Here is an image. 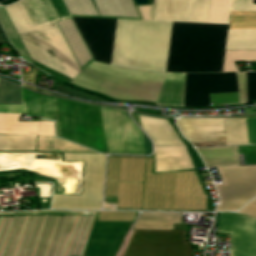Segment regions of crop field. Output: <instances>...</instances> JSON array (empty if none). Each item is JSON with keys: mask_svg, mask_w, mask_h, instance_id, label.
Segmentation results:
<instances>
[{"mask_svg": "<svg viewBox=\"0 0 256 256\" xmlns=\"http://www.w3.org/2000/svg\"><path fill=\"white\" fill-rule=\"evenodd\" d=\"M72 18L94 60L110 65L117 20ZM171 25L118 20L111 65L165 72ZM227 28L173 22L166 72H221Z\"/></svg>", "mask_w": 256, "mask_h": 256, "instance_id": "obj_1", "label": "crop field"}, {"mask_svg": "<svg viewBox=\"0 0 256 256\" xmlns=\"http://www.w3.org/2000/svg\"><path fill=\"white\" fill-rule=\"evenodd\" d=\"M56 136L101 153L145 155L141 130L128 112L53 97Z\"/></svg>", "mask_w": 256, "mask_h": 256, "instance_id": "obj_2", "label": "crop field"}, {"mask_svg": "<svg viewBox=\"0 0 256 256\" xmlns=\"http://www.w3.org/2000/svg\"><path fill=\"white\" fill-rule=\"evenodd\" d=\"M22 1L34 24L69 16L61 0ZM22 1L5 9L31 59L73 79L81 70L55 20L33 25Z\"/></svg>", "mask_w": 256, "mask_h": 256, "instance_id": "obj_3", "label": "crop field"}, {"mask_svg": "<svg viewBox=\"0 0 256 256\" xmlns=\"http://www.w3.org/2000/svg\"><path fill=\"white\" fill-rule=\"evenodd\" d=\"M165 74L143 73L93 62L71 83L120 100L155 102Z\"/></svg>", "mask_w": 256, "mask_h": 256, "instance_id": "obj_4", "label": "crop field"}, {"mask_svg": "<svg viewBox=\"0 0 256 256\" xmlns=\"http://www.w3.org/2000/svg\"><path fill=\"white\" fill-rule=\"evenodd\" d=\"M146 159L143 208H172L174 173L151 175ZM174 208L206 209V196L194 171L176 173Z\"/></svg>", "mask_w": 256, "mask_h": 256, "instance_id": "obj_5", "label": "crop field"}, {"mask_svg": "<svg viewBox=\"0 0 256 256\" xmlns=\"http://www.w3.org/2000/svg\"><path fill=\"white\" fill-rule=\"evenodd\" d=\"M49 212L95 213V215H96V212H86V211L49 210ZM56 217L57 216H55V215H50V216L46 217V221H45V224L43 227V231H42V234L40 237V241H39L35 256H44L45 255ZM58 217H57V220H58ZM74 217L75 216H60L59 217L57 227L55 224L56 230L54 227L55 233L53 230L54 236L52 233V236H53L52 243L50 240L51 246L49 243L50 249L48 246L49 252L47 249L48 256H63L65 248H66V244L68 241V237H69V234L71 231V227H72V224L74 221ZM76 217H75V221H76ZM92 218L93 217H90V216H78L76 224L74 221L75 227L73 224L74 231H73V227H72L73 234L71 231L72 238H71V241L69 238L70 244L68 241L69 248H68V244H67L68 251L66 248V251H67V254L65 251L66 256H81ZM57 220H56V223H57ZM93 222H94V220H93ZM92 225H93V223H92ZM91 228H92V226H91ZM90 231H91V229H90ZM71 234H70V237H71ZM89 234H90V232H89ZM52 236H51V239H52ZM88 238H89V235H88ZM88 238H87V241H88ZM87 241H86V244H87ZM86 244H85V247H86ZM85 247H84V250H85ZM84 250H83V254H84ZM47 252H46V255H47ZM65 254H64V256H65ZM83 254H82V256H83Z\"/></svg>", "mask_w": 256, "mask_h": 256, "instance_id": "obj_6", "label": "crop field"}, {"mask_svg": "<svg viewBox=\"0 0 256 256\" xmlns=\"http://www.w3.org/2000/svg\"><path fill=\"white\" fill-rule=\"evenodd\" d=\"M106 155L66 153L64 161L85 160L83 196L53 195L52 208L100 210Z\"/></svg>", "mask_w": 256, "mask_h": 256, "instance_id": "obj_7", "label": "crop field"}, {"mask_svg": "<svg viewBox=\"0 0 256 256\" xmlns=\"http://www.w3.org/2000/svg\"><path fill=\"white\" fill-rule=\"evenodd\" d=\"M187 231L134 230L121 256H190Z\"/></svg>", "mask_w": 256, "mask_h": 256, "instance_id": "obj_8", "label": "crop field"}, {"mask_svg": "<svg viewBox=\"0 0 256 256\" xmlns=\"http://www.w3.org/2000/svg\"><path fill=\"white\" fill-rule=\"evenodd\" d=\"M222 179L214 181L221 204L216 211H235L256 196V165L217 168Z\"/></svg>", "mask_w": 256, "mask_h": 256, "instance_id": "obj_9", "label": "crop field"}, {"mask_svg": "<svg viewBox=\"0 0 256 256\" xmlns=\"http://www.w3.org/2000/svg\"><path fill=\"white\" fill-rule=\"evenodd\" d=\"M144 159L109 158L107 178L143 180ZM142 183L106 181L105 197L118 207H141Z\"/></svg>", "mask_w": 256, "mask_h": 256, "instance_id": "obj_10", "label": "crop field"}, {"mask_svg": "<svg viewBox=\"0 0 256 256\" xmlns=\"http://www.w3.org/2000/svg\"><path fill=\"white\" fill-rule=\"evenodd\" d=\"M32 212H47V211L4 212L3 214L32 213ZM43 217L44 216H29L28 220H27L26 217H16V218L14 217L15 221H14L13 217H3L2 221H1V224H0V255H1V252H2V249H3V246H4V242H5V239H6V236H7L12 218H13V221H14V225H13V221H12V224H11V227H10V230H9V233H8V236H7V239H6V242H5V246H4V249H3V252H2L1 256H3V254H4V250H5L8 238H9V234H10L12 225H13V228H12V231H11V234H10V238H9L4 256H13L14 255V252H15V249H16V246H17V242H18V239H19V236H20V233H21V230H22L25 218H26V220H27V223L25 221L26 226L24 224L25 230H24V227H23L24 233H23V230H22L23 236H22V233H21L22 239H21V236H20L21 242H20V239H19L20 245L18 243L19 248L17 246L18 251L16 249L17 254H16V252H15V254H16V256H31L34 245H35V242H36V239H37V236H38V233H39V230H40V226H41ZM45 217H44V220H45ZM44 220H43V223H42V226H41V230H42V227H43V224H44ZM41 230H40V233H39V236H38V239H37V242H36V245H35L32 256H34V254H35V250H36V247H37V244H38V240H39V237H40V234H41Z\"/></svg>", "mask_w": 256, "mask_h": 256, "instance_id": "obj_11", "label": "crop field"}, {"mask_svg": "<svg viewBox=\"0 0 256 256\" xmlns=\"http://www.w3.org/2000/svg\"><path fill=\"white\" fill-rule=\"evenodd\" d=\"M238 91L235 73L186 74L185 106H210L208 93Z\"/></svg>", "mask_w": 256, "mask_h": 256, "instance_id": "obj_12", "label": "crop field"}, {"mask_svg": "<svg viewBox=\"0 0 256 256\" xmlns=\"http://www.w3.org/2000/svg\"><path fill=\"white\" fill-rule=\"evenodd\" d=\"M218 232L231 233V256H256V218L220 213Z\"/></svg>", "mask_w": 256, "mask_h": 256, "instance_id": "obj_13", "label": "crop field"}, {"mask_svg": "<svg viewBox=\"0 0 256 256\" xmlns=\"http://www.w3.org/2000/svg\"><path fill=\"white\" fill-rule=\"evenodd\" d=\"M213 0H157L154 20L210 23Z\"/></svg>", "mask_w": 256, "mask_h": 256, "instance_id": "obj_14", "label": "crop field"}, {"mask_svg": "<svg viewBox=\"0 0 256 256\" xmlns=\"http://www.w3.org/2000/svg\"><path fill=\"white\" fill-rule=\"evenodd\" d=\"M130 223H95L85 256H114Z\"/></svg>", "mask_w": 256, "mask_h": 256, "instance_id": "obj_15", "label": "crop field"}, {"mask_svg": "<svg viewBox=\"0 0 256 256\" xmlns=\"http://www.w3.org/2000/svg\"><path fill=\"white\" fill-rule=\"evenodd\" d=\"M70 14L138 18L131 0H64Z\"/></svg>", "mask_w": 256, "mask_h": 256, "instance_id": "obj_16", "label": "crop field"}, {"mask_svg": "<svg viewBox=\"0 0 256 256\" xmlns=\"http://www.w3.org/2000/svg\"><path fill=\"white\" fill-rule=\"evenodd\" d=\"M130 116L154 141V147L186 146L166 118H155L132 112Z\"/></svg>", "mask_w": 256, "mask_h": 256, "instance_id": "obj_17", "label": "crop field"}, {"mask_svg": "<svg viewBox=\"0 0 256 256\" xmlns=\"http://www.w3.org/2000/svg\"><path fill=\"white\" fill-rule=\"evenodd\" d=\"M20 114H0V133L54 135L53 121L18 122Z\"/></svg>", "mask_w": 256, "mask_h": 256, "instance_id": "obj_18", "label": "crop field"}, {"mask_svg": "<svg viewBox=\"0 0 256 256\" xmlns=\"http://www.w3.org/2000/svg\"><path fill=\"white\" fill-rule=\"evenodd\" d=\"M156 172L191 169L185 147L154 148Z\"/></svg>", "mask_w": 256, "mask_h": 256, "instance_id": "obj_19", "label": "crop field"}, {"mask_svg": "<svg viewBox=\"0 0 256 256\" xmlns=\"http://www.w3.org/2000/svg\"><path fill=\"white\" fill-rule=\"evenodd\" d=\"M185 74L167 73L156 106L184 107Z\"/></svg>", "mask_w": 256, "mask_h": 256, "instance_id": "obj_20", "label": "crop field"}, {"mask_svg": "<svg viewBox=\"0 0 256 256\" xmlns=\"http://www.w3.org/2000/svg\"><path fill=\"white\" fill-rule=\"evenodd\" d=\"M228 0H214L211 22L225 23ZM256 27V11L232 12L230 28Z\"/></svg>", "mask_w": 256, "mask_h": 256, "instance_id": "obj_21", "label": "crop field"}, {"mask_svg": "<svg viewBox=\"0 0 256 256\" xmlns=\"http://www.w3.org/2000/svg\"><path fill=\"white\" fill-rule=\"evenodd\" d=\"M196 149L207 167L240 165L237 146Z\"/></svg>", "mask_w": 256, "mask_h": 256, "instance_id": "obj_22", "label": "crop field"}, {"mask_svg": "<svg viewBox=\"0 0 256 256\" xmlns=\"http://www.w3.org/2000/svg\"><path fill=\"white\" fill-rule=\"evenodd\" d=\"M173 224H181V213H141L134 229L173 230Z\"/></svg>", "mask_w": 256, "mask_h": 256, "instance_id": "obj_23", "label": "crop field"}, {"mask_svg": "<svg viewBox=\"0 0 256 256\" xmlns=\"http://www.w3.org/2000/svg\"><path fill=\"white\" fill-rule=\"evenodd\" d=\"M68 44L70 45L80 67L91 60V56L81 39L72 19L58 22Z\"/></svg>", "mask_w": 256, "mask_h": 256, "instance_id": "obj_24", "label": "crop field"}, {"mask_svg": "<svg viewBox=\"0 0 256 256\" xmlns=\"http://www.w3.org/2000/svg\"><path fill=\"white\" fill-rule=\"evenodd\" d=\"M176 125L181 133L224 130L223 118H180Z\"/></svg>", "mask_w": 256, "mask_h": 256, "instance_id": "obj_25", "label": "crop field"}, {"mask_svg": "<svg viewBox=\"0 0 256 256\" xmlns=\"http://www.w3.org/2000/svg\"><path fill=\"white\" fill-rule=\"evenodd\" d=\"M37 151L93 153V151L90 149L84 148L56 136H39Z\"/></svg>", "mask_w": 256, "mask_h": 256, "instance_id": "obj_26", "label": "crop field"}, {"mask_svg": "<svg viewBox=\"0 0 256 256\" xmlns=\"http://www.w3.org/2000/svg\"><path fill=\"white\" fill-rule=\"evenodd\" d=\"M248 29H228V31H247ZM256 49V31L228 32L225 50Z\"/></svg>", "mask_w": 256, "mask_h": 256, "instance_id": "obj_27", "label": "crop field"}, {"mask_svg": "<svg viewBox=\"0 0 256 256\" xmlns=\"http://www.w3.org/2000/svg\"><path fill=\"white\" fill-rule=\"evenodd\" d=\"M227 145L248 144L245 118H224Z\"/></svg>", "mask_w": 256, "mask_h": 256, "instance_id": "obj_28", "label": "crop field"}, {"mask_svg": "<svg viewBox=\"0 0 256 256\" xmlns=\"http://www.w3.org/2000/svg\"><path fill=\"white\" fill-rule=\"evenodd\" d=\"M37 136L0 135V151L35 150Z\"/></svg>", "mask_w": 256, "mask_h": 256, "instance_id": "obj_29", "label": "crop field"}, {"mask_svg": "<svg viewBox=\"0 0 256 256\" xmlns=\"http://www.w3.org/2000/svg\"><path fill=\"white\" fill-rule=\"evenodd\" d=\"M0 24L3 27L4 32L6 33L9 41L13 44L15 49L18 51L20 56L26 61L32 63L27 51L25 50L23 44L21 43L18 35L16 34L5 10L3 7H0ZM33 64V63H32Z\"/></svg>", "mask_w": 256, "mask_h": 256, "instance_id": "obj_30", "label": "crop field"}, {"mask_svg": "<svg viewBox=\"0 0 256 256\" xmlns=\"http://www.w3.org/2000/svg\"><path fill=\"white\" fill-rule=\"evenodd\" d=\"M0 104H23L21 87L0 80Z\"/></svg>", "mask_w": 256, "mask_h": 256, "instance_id": "obj_31", "label": "crop field"}, {"mask_svg": "<svg viewBox=\"0 0 256 256\" xmlns=\"http://www.w3.org/2000/svg\"><path fill=\"white\" fill-rule=\"evenodd\" d=\"M189 142L225 140L224 131L182 134Z\"/></svg>", "mask_w": 256, "mask_h": 256, "instance_id": "obj_32", "label": "crop field"}, {"mask_svg": "<svg viewBox=\"0 0 256 256\" xmlns=\"http://www.w3.org/2000/svg\"><path fill=\"white\" fill-rule=\"evenodd\" d=\"M136 212H101L98 222H131Z\"/></svg>", "mask_w": 256, "mask_h": 256, "instance_id": "obj_33", "label": "crop field"}, {"mask_svg": "<svg viewBox=\"0 0 256 256\" xmlns=\"http://www.w3.org/2000/svg\"><path fill=\"white\" fill-rule=\"evenodd\" d=\"M256 10V4L251 0H231L230 11Z\"/></svg>", "mask_w": 256, "mask_h": 256, "instance_id": "obj_34", "label": "crop field"}, {"mask_svg": "<svg viewBox=\"0 0 256 256\" xmlns=\"http://www.w3.org/2000/svg\"><path fill=\"white\" fill-rule=\"evenodd\" d=\"M256 100V72H247V102Z\"/></svg>", "mask_w": 256, "mask_h": 256, "instance_id": "obj_35", "label": "crop field"}, {"mask_svg": "<svg viewBox=\"0 0 256 256\" xmlns=\"http://www.w3.org/2000/svg\"><path fill=\"white\" fill-rule=\"evenodd\" d=\"M54 89H55V91L64 92V93H67V94H70V95L76 96V97H82V98H87V99H92V100H98V101H102V102L106 101V100H103V99H101L99 97L91 96V95H88L86 93H83V92L75 90V89H73L74 91H70L69 89H72L70 87L65 88V87H62V86H59V85L55 84ZM106 102H108V101H106Z\"/></svg>", "mask_w": 256, "mask_h": 256, "instance_id": "obj_36", "label": "crop field"}, {"mask_svg": "<svg viewBox=\"0 0 256 256\" xmlns=\"http://www.w3.org/2000/svg\"><path fill=\"white\" fill-rule=\"evenodd\" d=\"M249 144H256V118H246Z\"/></svg>", "mask_w": 256, "mask_h": 256, "instance_id": "obj_37", "label": "crop field"}, {"mask_svg": "<svg viewBox=\"0 0 256 256\" xmlns=\"http://www.w3.org/2000/svg\"><path fill=\"white\" fill-rule=\"evenodd\" d=\"M0 113L26 114V106L25 105H0Z\"/></svg>", "mask_w": 256, "mask_h": 256, "instance_id": "obj_38", "label": "crop field"}, {"mask_svg": "<svg viewBox=\"0 0 256 256\" xmlns=\"http://www.w3.org/2000/svg\"><path fill=\"white\" fill-rule=\"evenodd\" d=\"M239 79V89L241 104L246 102V72L237 73Z\"/></svg>", "mask_w": 256, "mask_h": 256, "instance_id": "obj_39", "label": "crop field"}, {"mask_svg": "<svg viewBox=\"0 0 256 256\" xmlns=\"http://www.w3.org/2000/svg\"><path fill=\"white\" fill-rule=\"evenodd\" d=\"M237 213L256 217V198L245 205Z\"/></svg>", "mask_w": 256, "mask_h": 256, "instance_id": "obj_40", "label": "crop field"}, {"mask_svg": "<svg viewBox=\"0 0 256 256\" xmlns=\"http://www.w3.org/2000/svg\"><path fill=\"white\" fill-rule=\"evenodd\" d=\"M142 134H143L145 152H146V155H149V154L152 153L151 141L149 140V138L143 132H142Z\"/></svg>", "mask_w": 256, "mask_h": 256, "instance_id": "obj_41", "label": "crop field"}, {"mask_svg": "<svg viewBox=\"0 0 256 256\" xmlns=\"http://www.w3.org/2000/svg\"><path fill=\"white\" fill-rule=\"evenodd\" d=\"M152 1V4H153V1L154 0H151ZM154 9H155V1H154V6H151V9H150V15H149V19L150 20H153V17H154Z\"/></svg>", "mask_w": 256, "mask_h": 256, "instance_id": "obj_42", "label": "crop field"}, {"mask_svg": "<svg viewBox=\"0 0 256 256\" xmlns=\"http://www.w3.org/2000/svg\"><path fill=\"white\" fill-rule=\"evenodd\" d=\"M36 91H39V92H43V93H48V94H53V93H49V92H46V91H43V90H41V89H35ZM53 95H55V94H53Z\"/></svg>", "mask_w": 256, "mask_h": 256, "instance_id": "obj_43", "label": "crop field"}, {"mask_svg": "<svg viewBox=\"0 0 256 256\" xmlns=\"http://www.w3.org/2000/svg\"><path fill=\"white\" fill-rule=\"evenodd\" d=\"M0 43H5L4 40H3V37H2V35H1V33H0Z\"/></svg>", "mask_w": 256, "mask_h": 256, "instance_id": "obj_44", "label": "crop field"}, {"mask_svg": "<svg viewBox=\"0 0 256 256\" xmlns=\"http://www.w3.org/2000/svg\"><path fill=\"white\" fill-rule=\"evenodd\" d=\"M108 106H112V107H116V108H121V109L124 108V107H121V106H113V105H108Z\"/></svg>", "mask_w": 256, "mask_h": 256, "instance_id": "obj_45", "label": "crop field"}, {"mask_svg": "<svg viewBox=\"0 0 256 256\" xmlns=\"http://www.w3.org/2000/svg\"><path fill=\"white\" fill-rule=\"evenodd\" d=\"M3 212H0V214H2ZM2 218V217H1ZM1 218H0V221H1Z\"/></svg>", "mask_w": 256, "mask_h": 256, "instance_id": "obj_46", "label": "crop field"}, {"mask_svg": "<svg viewBox=\"0 0 256 256\" xmlns=\"http://www.w3.org/2000/svg\"><path fill=\"white\" fill-rule=\"evenodd\" d=\"M2 1H4V0H0V2H2Z\"/></svg>", "mask_w": 256, "mask_h": 256, "instance_id": "obj_47", "label": "crop field"}, {"mask_svg": "<svg viewBox=\"0 0 256 256\" xmlns=\"http://www.w3.org/2000/svg\"><path fill=\"white\" fill-rule=\"evenodd\" d=\"M57 96H59V95H57ZM60 97H62V96H60Z\"/></svg>", "mask_w": 256, "mask_h": 256, "instance_id": "obj_48", "label": "crop field"}]
</instances>
